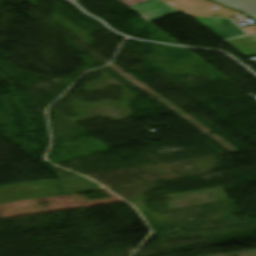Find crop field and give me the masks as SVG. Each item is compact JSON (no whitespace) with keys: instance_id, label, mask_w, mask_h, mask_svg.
Instances as JSON below:
<instances>
[{"instance_id":"crop-field-1","label":"crop field","mask_w":256,"mask_h":256,"mask_svg":"<svg viewBox=\"0 0 256 256\" xmlns=\"http://www.w3.org/2000/svg\"><path fill=\"white\" fill-rule=\"evenodd\" d=\"M220 39H228L245 33L230 20L193 18Z\"/></svg>"},{"instance_id":"crop-field-2","label":"crop field","mask_w":256,"mask_h":256,"mask_svg":"<svg viewBox=\"0 0 256 256\" xmlns=\"http://www.w3.org/2000/svg\"><path fill=\"white\" fill-rule=\"evenodd\" d=\"M134 12L150 22L164 16L179 12L178 10L158 1L151 0L133 7H130Z\"/></svg>"},{"instance_id":"crop-field-3","label":"crop field","mask_w":256,"mask_h":256,"mask_svg":"<svg viewBox=\"0 0 256 256\" xmlns=\"http://www.w3.org/2000/svg\"><path fill=\"white\" fill-rule=\"evenodd\" d=\"M225 7L243 11L256 20V0H213Z\"/></svg>"},{"instance_id":"crop-field-4","label":"crop field","mask_w":256,"mask_h":256,"mask_svg":"<svg viewBox=\"0 0 256 256\" xmlns=\"http://www.w3.org/2000/svg\"><path fill=\"white\" fill-rule=\"evenodd\" d=\"M226 42L244 55L256 53V34L227 40Z\"/></svg>"}]
</instances>
